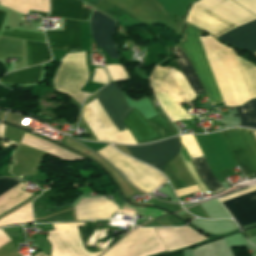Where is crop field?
Instances as JSON below:
<instances>
[{
  "instance_id": "crop-field-1",
  "label": "crop field",
  "mask_w": 256,
  "mask_h": 256,
  "mask_svg": "<svg viewBox=\"0 0 256 256\" xmlns=\"http://www.w3.org/2000/svg\"><path fill=\"white\" fill-rule=\"evenodd\" d=\"M207 60L226 106H238L256 98V65L240 58L232 48L219 44L211 35L199 37ZM241 119L239 126L256 129V99L235 107Z\"/></svg>"
},
{
  "instance_id": "crop-field-2",
  "label": "crop field",
  "mask_w": 256,
  "mask_h": 256,
  "mask_svg": "<svg viewBox=\"0 0 256 256\" xmlns=\"http://www.w3.org/2000/svg\"><path fill=\"white\" fill-rule=\"evenodd\" d=\"M202 34L203 33L201 30L186 24L183 41L177 46L191 62L209 97L210 102L212 105H214L222 102L223 100L198 38V36ZM177 46L174 47L173 54L176 56V61L184 73L189 85L192 87L196 94L205 92L190 62Z\"/></svg>"
},
{
  "instance_id": "crop-field-3",
  "label": "crop field",
  "mask_w": 256,
  "mask_h": 256,
  "mask_svg": "<svg viewBox=\"0 0 256 256\" xmlns=\"http://www.w3.org/2000/svg\"><path fill=\"white\" fill-rule=\"evenodd\" d=\"M149 85L171 121L193 118L179 107L197 98L182 73L175 71L172 66L163 68L156 65Z\"/></svg>"
},
{
  "instance_id": "crop-field-4",
  "label": "crop field",
  "mask_w": 256,
  "mask_h": 256,
  "mask_svg": "<svg viewBox=\"0 0 256 256\" xmlns=\"http://www.w3.org/2000/svg\"><path fill=\"white\" fill-rule=\"evenodd\" d=\"M61 62L62 64L54 80V86L57 90L71 95L82 104L83 100L90 95L79 91L88 76L85 52L68 54Z\"/></svg>"
},
{
  "instance_id": "crop-field-5",
  "label": "crop field",
  "mask_w": 256,
  "mask_h": 256,
  "mask_svg": "<svg viewBox=\"0 0 256 256\" xmlns=\"http://www.w3.org/2000/svg\"><path fill=\"white\" fill-rule=\"evenodd\" d=\"M165 251L153 229H135L102 256H149Z\"/></svg>"
},
{
  "instance_id": "crop-field-6",
  "label": "crop field",
  "mask_w": 256,
  "mask_h": 256,
  "mask_svg": "<svg viewBox=\"0 0 256 256\" xmlns=\"http://www.w3.org/2000/svg\"><path fill=\"white\" fill-rule=\"evenodd\" d=\"M253 133L256 137V132ZM253 133L241 128L222 131L235 161L245 176L253 173L256 175V139Z\"/></svg>"
},
{
  "instance_id": "crop-field-7",
  "label": "crop field",
  "mask_w": 256,
  "mask_h": 256,
  "mask_svg": "<svg viewBox=\"0 0 256 256\" xmlns=\"http://www.w3.org/2000/svg\"><path fill=\"white\" fill-rule=\"evenodd\" d=\"M76 225L84 223L53 224L55 231H48V241L52 244L51 256H98L84 250Z\"/></svg>"
},
{
  "instance_id": "crop-field-8",
  "label": "crop field",
  "mask_w": 256,
  "mask_h": 256,
  "mask_svg": "<svg viewBox=\"0 0 256 256\" xmlns=\"http://www.w3.org/2000/svg\"><path fill=\"white\" fill-rule=\"evenodd\" d=\"M136 142H145L175 135L160 115L146 121L135 109L123 121Z\"/></svg>"
},
{
  "instance_id": "crop-field-9",
  "label": "crop field",
  "mask_w": 256,
  "mask_h": 256,
  "mask_svg": "<svg viewBox=\"0 0 256 256\" xmlns=\"http://www.w3.org/2000/svg\"><path fill=\"white\" fill-rule=\"evenodd\" d=\"M125 147L133 157L159 169L164 174V165L177 155L180 143L175 137L151 145Z\"/></svg>"
},
{
  "instance_id": "crop-field-10",
  "label": "crop field",
  "mask_w": 256,
  "mask_h": 256,
  "mask_svg": "<svg viewBox=\"0 0 256 256\" xmlns=\"http://www.w3.org/2000/svg\"><path fill=\"white\" fill-rule=\"evenodd\" d=\"M97 101L119 131L127 129L122 120L131 110L127 106L116 82H110L100 89Z\"/></svg>"
},
{
  "instance_id": "crop-field-11",
  "label": "crop field",
  "mask_w": 256,
  "mask_h": 256,
  "mask_svg": "<svg viewBox=\"0 0 256 256\" xmlns=\"http://www.w3.org/2000/svg\"><path fill=\"white\" fill-rule=\"evenodd\" d=\"M115 22L94 11L90 20L91 34L97 47L105 50L110 58H119L113 39Z\"/></svg>"
},
{
  "instance_id": "crop-field-12",
  "label": "crop field",
  "mask_w": 256,
  "mask_h": 256,
  "mask_svg": "<svg viewBox=\"0 0 256 256\" xmlns=\"http://www.w3.org/2000/svg\"><path fill=\"white\" fill-rule=\"evenodd\" d=\"M196 5L237 26L256 19L231 0H200Z\"/></svg>"
},
{
  "instance_id": "crop-field-13",
  "label": "crop field",
  "mask_w": 256,
  "mask_h": 256,
  "mask_svg": "<svg viewBox=\"0 0 256 256\" xmlns=\"http://www.w3.org/2000/svg\"><path fill=\"white\" fill-rule=\"evenodd\" d=\"M186 22L208 32L213 37H217L237 26L195 6L191 7Z\"/></svg>"
},
{
  "instance_id": "crop-field-14",
  "label": "crop field",
  "mask_w": 256,
  "mask_h": 256,
  "mask_svg": "<svg viewBox=\"0 0 256 256\" xmlns=\"http://www.w3.org/2000/svg\"><path fill=\"white\" fill-rule=\"evenodd\" d=\"M239 226L256 222V191L222 202Z\"/></svg>"
},
{
  "instance_id": "crop-field-15",
  "label": "crop field",
  "mask_w": 256,
  "mask_h": 256,
  "mask_svg": "<svg viewBox=\"0 0 256 256\" xmlns=\"http://www.w3.org/2000/svg\"><path fill=\"white\" fill-rule=\"evenodd\" d=\"M155 231L163 242L167 251L185 247L208 239L187 226L183 228H159L155 229Z\"/></svg>"
},
{
  "instance_id": "crop-field-16",
  "label": "crop field",
  "mask_w": 256,
  "mask_h": 256,
  "mask_svg": "<svg viewBox=\"0 0 256 256\" xmlns=\"http://www.w3.org/2000/svg\"><path fill=\"white\" fill-rule=\"evenodd\" d=\"M78 220L110 218L117 207L100 197L84 196L78 200L76 206Z\"/></svg>"
},
{
  "instance_id": "crop-field-17",
  "label": "crop field",
  "mask_w": 256,
  "mask_h": 256,
  "mask_svg": "<svg viewBox=\"0 0 256 256\" xmlns=\"http://www.w3.org/2000/svg\"><path fill=\"white\" fill-rule=\"evenodd\" d=\"M62 23L63 31H45L50 48L80 49L79 21L63 19Z\"/></svg>"
},
{
  "instance_id": "crop-field-18",
  "label": "crop field",
  "mask_w": 256,
  "mask_h": 256,
  "mask_svg": "<svg viewBox=\"0 0 256 256\" xmlns=\"http://www.w3.org/2000/svg\"><path fill=\"white\" fill-rule=\"evenodd\" d=\"M218 39L251 54L256 51V20L241 25Z\"/></svg>"
},
{
  "instance_id": "crop-field-19",
  "label": "crop field",
  "mask_w": 256,
  "mask_h": 256,
  "mask_svg": "<svg viewBox=\"0 0 256 256\" xmlns=\"http://www.w3.org/2000/svg\"><path fill=\"white\" fill-rule=\"evenodd\" d=\"M85 6L75 0H51L50 15L88 20L92 11L84 8Z\"/></svg>"
},
{
  "instance_id": "crop-field-20",
  "label": "crop field",
  "mask_w": 256,
  "mask_h": 256,
  "mask_svg": "<svg viewBox=\"0 0 256 256\" xmlns=\"http://www.w3.org/2000/svg\"><path fill=\"white\" fill-rule=\"evenodd\" d=\"M41 77V66H35L24 70L4 75L0 82L26 85L39 81Z\"/></svg>"
},
{
  "instance_id": "crop-field-21",
  "label": "crop field",
  "mask_w": 256,
  "mask_h": 256,
  "mask_svg": "<svg viewBox=\"0 0 256 256\" xmlns=\"http://www.w3.org/2000/svg\"><path fill=\"white\" fill-rule=\"evenodd\" d=\"M0 6L26 15L29 9L48 13V0H0Z\"/></svg>"
},
{
  "instance_id": "crop-field-22",
  "label": "crop field",
  "mask_w": 256,
  "mask_h": 256,
  "mask_svg": "<svg viewBox=\"0 0 256 256\" xmlns=\"http://www.w3.org/2000/svg\"><path fill=\"white\" fill-rule=\"evenodd\" d=\"M199 176L213 194L225 190L222 185L212 175L204 157L191 159Z\"/></svg>"
},
{
  "instance_id": "crop-field-23",
  "label": "crop field",
  "mask_w": 256,
  "mask_h": 256,
  "mask_svg": "<svg viewBox=\"0 0 256 256\" xmlns=\"http://www.w3.org/2000/svg\"><path fill=\"white\" fill-rule=\"evenodd\" d=\"M28 67L49 61L51 56L46 43L26 41Z\"/></svg>"
},
{
  "instance_id": "crop-field-24",
  "label": "crop field",
  "mask_w": 256,
  "mask_h": 256,
  "mask_svg": "<svg viewBox=\"0 0 256 256\" xmlns=\"http://www.w3.org/2000/svg\"><path fill=\"white\" fill-rule=\"evenodd\" d=\"M32 220V212H31V203L26 206L20 208L4 219L0 220V227L6 226L9 224H20V223H31Z\"/></svg>"
},
{
  "instance_id": "crop-field-25",
  "label": "crop field",
  "mask_w": 256,
  "mask_h": 256,
  "mask_svg": "<svg viewBox=\"0 0 256 256\" xmlns=\"http://www.w3.org/2000/svg\"><path fill=\"white\" fill-rule=\"evenodd\" d=\"M0 35L20 38V39H28L32 41L46 42L44 34H39V33H31V32H24V31H18V30H11V31L2 30Z\"/></svg>"
},
{
  "instance_id": "crop-field-26",
  "label": "crop field",
  "mask_w": 256,
  "mask_h": 256,
  "mask_svg": "<svg viewBox=\"0 0 256 256\" xmlns=\"http://www.w3.org/2000/svg\"><path fill=\"white\" fill-rule=\"evenodd\" d=\"M182 145L186 148L190 158L203 156L193 135L180 136Z\"/></svg>"
},
{
  "instance_id": "crop-field-27",
  "label": "crop field",
  "mask_w": 256,
  "mask_h": 256,
  "mask_svg": "<svg viewBox=\"0 0 256 256\" xmlns=\"http://www.w3.org/2000/svg\"><path fill=\"white\" fill-rule=\"evenodd\" d=\"M112 81L129 78L126 70L119 64L105 66Z\"/></svg>"
},
{
  "instance_id": "crop-field-28",
  "label": "crop field",
  "mask_w": 256,
  "mask_h": 256,
  "mask_svg": "<svg viewBox=\"0 0 256 256\" xmlns=\"http://www.w3.org/2000/svg\"><path fill=\"white\" fill-rule=\"evenodd\" d=\"M234 1L256 15V0H234Z\"/></svg>"
},
{
  "instance_id": "crop-field-29",
  "label": "crop field",
  "mask_w": 256,
  "mask_h": 256,
  "mask_svg": "<svg viewBox=\"0 0 256 256\" xmlns=\"http://www.w3.org/2000/svg\"><path fill=\"white\" fill-rule=\"evenodd\" d=\"M92 81L106 84L107 77L103 68H95V73L93 75Z\"/></svg>"
},
{
  "instance_id": "crop-field-30",
  "label": "crop field",
  "mask_w": 256,
  "mask_h": 256,
  "mask_svg": "<svg viewBox=\"0 0 256 256\" xmlns=\"http://www.w3.org/2000/svg\"><path fill=\"white\" fill-rule=\"evenodd\" d=\"M198 191L199 190H198L197 186H193V187H189V188L176 190L175 193H176L177 197H179V196L187 195V194L198 192Z\"/></svg>"
},
{
  "instance_id": "crop-field-31",
  "label": "crop field",
  "mask_w": 256,
  "mask_h": 256,
  "mask_svg": "<svg viewBox=\"0 0 256 256\" xmlns=\"http://www.w3.org/2000/svg\"><path fill=\"white\" fill-rule=\"evenodd\" d=\"M17 181L11 179V178H0V192L9 186L13 185Z\"/></svg>"
},
{
  "instance_id": "crop-field-32",
  "label": "crop field",
  "mask_w": 256,
  "mask_h": 256,
  "mask_svg": "<svg viewBox=\"0 0 256 256\" xmlns=\"http://www.w3.org/2000/svg\"><path fill=\"white\" fill-rule=\"evenodd\" d=\"M11 241L6 234L0 229V247Z\"/></svg>"
},
{
  "instance_id": "crop-field-33",
  "label": "crop field",
  "mask_w": 256,
  "mask_h": 256,
  "mask_svg": "<svg viewBox=\"0 0 256 256\" xmlns=\"http://www.w3.org/2000/svg\"><path fill=\"white\" fill-rule=\"evenodd\" d=\"M5 14H6L5 12H1V11H0V27H1L2 23H3ZM1 28H2V27H1Z\"/></svg>"
},
{
  "instance_id": "crop-field-34",
  "label": "crop field",
  "mask_w": 256,
  "mask_h": 256,
  "mask_svg": "<svg viewBox=\"0 0 256 256\" xmlns=\"http://www.w3.org/2000/svg\"><path fill=\"white\" fill-rule=\"evenodd\" d=\"M254 55L256 56V53H254Z\"/></svg>"
}]
</instances>
